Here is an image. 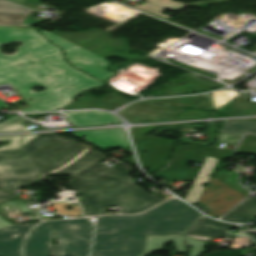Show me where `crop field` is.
Instances as JSON below:
<instances>
[{"label":"crop field","mask_w":256,"mask_h":256,"mask_svg":"<svg viewBox=\"0 0 256 256\" xmlns=\"http://www.w3.org/2000/svg\"><path fill=\"white\" fill-rule=\"evenodd\" d=\"M7 119V121L0 124V131H18L27 129L25 126L20 124L22 121L26 120L25 118L15 115Z\"/></svg>","instance_id":"a9b5d70f"},{"label":"crop field","mask_w":256,"mask_h":256,"mask_svg":"<svg viewBox=\"0 0 256 256\" xmlns=\"http://www.w3.org/2000/svg\"><path fill=\"white\" fill-rule=\"evenodd\" d=\"M124 162L130 163V164H133V165L136 164L135 160H134V156H131V157L125 159Z\"/></svg>","instance_id":"028f5c9d"},{"label":"crop field","mask_w":256,"mask_h":256,"mask_svg":"<svg viewBox=\"0 0 256 256\" xmlns=\"http://www.w3.org/2000/svg\"><path fill=\"white\" fill-rule=\"evenodd\" d=\"M105 59L117 56L127 61L148 58L137 53L128 54V41L120 37L118 39L111 38L110 34L92 28L85 32L63 33L53 32ZM131 50V49H130Z\"/></svg>","instance_id":"412701ff"},{"label":"crop field","mask_w":256,"mask_h":256,"mask_svg":"<svg viewBox=\"0 0 256 256\" xmlns=\"http://www.w3.org/2000/svg\"><path fill=\"white\" fill-rule=\"evenodd\" d=\"M253 135V134H252Z\"/></svg>","instance_id":"b80d0937"},{"label":"crop field","mask_w":256,"mask_h":256,"mask_svg":"<svg viewBox=\"0 0 256 256\" xmlns=\"http://www.w3.org/2000/svg\"><path fill=\"white\" fill-rule=\"evenodd\" d=\"M252 216H256V197H247L220 219L232 222H246Z\"/></svg>","instance_id":"bc2a9ffb"},{"label":"crop field","mask_w":256,"mask_h":256,"mask_svg":"<svg viewBox=\"0 0 256 256\" xmlns=\"http://www.w3.org/2000/svg\"><path fill=\"white\" fill-rule=\"evenodd\" d=\"M21 136H13V137H0V142H5L8 139H11L10 145H3L0 147L1 150H11L19 148V140Z\"/></svg>","instance_id":"d3111659"},{"label":"crop field","mask_w":256,"mask_h":256,"mask_svg":"<svg viewBox=\"0 0 256 256\" xmlns=\"http://www.w3.org/2000/svg\"><path fill=\"white\" fill-rule=\"evenodd\" d=\"M219 131L237 136L243 135L244 132L256 134V121L236 120L223 122Z\"/></svg>","instance_id":"92a150f3"},{"label":"crop field","mask_w":256,"mask_h":256,"mask_svg":"<svg viewBox=\"0 0 256 256\" xmlns=\"http://www.w3.org/2000/svg\"><path fill=\"white\" fill-rule=\"evenodd\" d=\"M249 246L247 237L233 239L232 249Z\"/></svg>","instance_id":"1d83c4d3"},{"label":"crop field","mask_w":256,"mask_h":256,"mask_svg":"<svg viewBox=\"0 0 256 256\" xmlns=\"http://www.w3.org/2000/svg\"><path fill=\"white\" fill-rule=\"evenodd\" d=\"M251 119H256V118H251Z\"/></svg>","instance_id":"0bd39190"},{"label":"crop field","mask_w":256,"mask_h":256,"mask_svg":"<svg viewBox=\"0 0 256 256\" xmlns=\"http://www.w3.org/2000/svg\"><path fill=\"white\" fill-rule=\"evenodd\" d=\"M240 138L241 137L232 136V135L219 132L213 145L219 146L221 142L238 144Z\"/></svg>","instance_id":"ae1a2a85"},{"label":"crop field","mask_w":256,"mask_h":256,"mask_svg":"<svg viewBox=\"0 0 256 256\" xmlns=\"http://www.w3.org/2000/svg\"><path fill=\"white\" fill-rule=\"evenodd\" d=\"M207 116H209V113L206 111L189 109L186 112L179 115L178 117L174 118L173 120L201 118V117H207Z\"/></svg>","instance_id":"730fd06b"},{"label":"crop field","mask_w":256,"mask_h":256,"mask_svg":"<svg viewBox=\"0 0 256 256\" xmlns=\"http://www.w3.org/2000/svg\"><path fill=\"white\" fill-rule=\"evenodd\" d=\"M56 237L61 241L54 246L57 256H88L93 225L88 218L69 221H51Z\"/></svg>","instance_id":"f4fd0767"},{"label":"crop field","mask_w":256,"mask_h":256,"mask_svg":"<svg viewBox=\"0 0 256 256\" xmlns=\"http://www.w3.org/2000/svg\"><path fill=\"white\" fill-rule=\"evenodd\" d=\"M154 126H149L147 128H135L131 129V136L133 138V141L138 140L139 138L143 137V135L150 130L154 129Z\"/></svg>","instance_id":"bd1437ed"},{"label":"crop field","mask_w":256,"mask_h":256,"mask_svg":"<svg viewBox=\"0 0 256 256\" xmlns=\"http://www.w3.org/2000/svg\"><path fill=\"white\" fill-rule=\"evenodd\" d=\"M51 233L50 226H37L26 240L25 256H51L48 249Z\"/></svg>","instance_id":"5142ce71"},{"label":"crop field","mask_w":256,"mask_h":256,"mask_svg":"<svg viewBox=\"0 0 256 256\" xmlns=\"http://www.w3.org/2000/svg\"><path fill=\"white\" fill-rule=\"evenodd\" d=\"M235 153L256 154V136L244 135Z\"/></svg>","instance_id":"4177f3b9"},{"label":"crop field","mask_w":256,"mask_h":256,"mask_svg":"<svg viewBox=\"0 0 256 256\" xmlns=\"http://www.w3.org/2000/svg\"><path fill=\"white\" fill-rule=\"evenodd\" d=\"M236 228L239 227L202 216L191 226V228L185 234L211 237H230L223 230Z\"/></svg>","instance_id":"733c2abd"},{"label":"crop field","mask_w":256,"mask_h":256,"mask_svg":"<svg viewBox=\"0 0 256 256\" xmlns=\"http://www.w3.org/2000/svg\"><path fill=\"white\" fill-rule=\"evenodd\" d=\"M37 29L41 31L53 43L61 46L66 55L67 60L71 62L76 68L102 81L114 74L103 69L105 65L109 64L107 60L73 43H70L50 32L44 31L39 28Z\"/></svg>","instance_id":"e52e79f7"},{"label":"crop field","mask_w":256,"mask_h":256,"mask_svg":"<svg viewBox=\"0 0 256 256\" xmlns=\"http://www.w3.org/2000/svg\"><path fill=\"white\" fill-rule=\"evenodd\" d=\"M217 186H220L218 189ZM212 189V190H210ZM226 195V197H224ZM244 195L227 185L223 184L215 177L209 179L208 185L204 188L198 203L208 208V215L218 217L240 200ZM229 197L230 199H226ZM210 200V202H207Z\"/></svg>","instance_id":"d8731c3e"},{"label":"crop field","mask_w":256,"mask_h":256,"mask_svg":"<svg viewBox=\"0 0 256 256\" xmlns=\"http://www.w3.org/2000/svg\"><path fill=\"white\" fill-rule=\"evenodd\" d=\"M185 110V108L148 104L140 101L120 110L119 113L131 122H140L143 120L151 121L156 119L170 120ZM132 116L141 118L133 119Z\"/></svg>","instance_id":"28ad6ade"},{"label":"crop field","mask_w":256,"mask_h":256,"mask_svg":"<svg viewBox=\"0 0 256 256\" xmlns=\"http://www.w3.org/2000/svg\"><path fill=\"white\" fill-rule=\"evenodd\" d=\"M217 162V159L206 157L195 181L193 182L186 201L194 204L197 202L202 190H203V185L207 182V179L214 168L215 164Z\"/></svg>","instance_id":"4a817a6b"},{"label":"crop field","mask_w":256,"mask_h":256,"mask_svg":"<svg viewBox=\"0 0 256 256\" xmlns=\"http://www.w3.org/2000/svg\"><path fill=\"white\" fill-rule=\"evenodd\" d=\"M11 42H23V45L16 54L0 53V83H11L31 106L20 111L54 110L67 104L81 90L104 84L68 65L59 48L31 27L0 26V47ZM37 85L45 90L31 92ZM0 108L11 110L1 100Z\"/></svg>","instance_id":"ac0d7876"},{"label":"crop field","mask_w":256,"mask_h":256,"mask_svg":"<svg viewBox=\"0 0 256 256\" xmlns=\"http://www.w3.org/2000/svg\"><path fill=\"white\" fill-rule=\"evenodd\" d=\"M231 154H232V152L219 150L215 147H211V150H210L208 156L215 157V158H218L220 160H226V159L231 157Z\"/></svg>","instance_id":"750c4746"},{"label":"crop field","mask_w":256,"mask_h":256,"mask_svg":"<svg viewBox=\"0 0 256 256\" xmlns=\"http://www.w3.org/2000/svg\"><path fill=\"white\" fill-rule=\"evenodd\" d=\"M36 135H31V136H23L22 139V145L26 144L28 141H30L32 138H34Z\"/></svg>","instance_id":"5866460e"},{"label":"crop field","mask_w":256,"mask_h":256,"mask_svg":"<svg viewBox=\"0 0 256 256\" xmlns=\"http://www.w3.org/2000/svg\"><path fill=\"white\" fill-rule=\"evenodd\" d=\"M53 205L56 212H59L68 216H70V214L81 213V210L78 205H68V202H58V203H54ZM66 206H73L74 209L72 211H68L65 208Z\"/></svg>","instance_id":"eef30255"},{"label":"crop field","mask_w":256,"mask_h":256,"mask_svg":"<svg viewBox=\"0 0 256 256\" xmlns=\"http://www.w3.org/2000/svg\"><path fill=\"white\" fill-rule=\"evenodd\" d=\"M209 95L210 94L202 95V96L172 97V98H164V99H148V100H144V101L190 107Z\"/></svg>","instance_id":"dafd665d"},{"label":"crop field","mask_w":256,"mask_h":256,"mask_svg":"<svg viewBox=\"0 0 256 256\" xmlns=\"http://www.w3.org/2000/svg\"><path fill=\"white\" fill-rule=\"evenodd\" d=\"M44 114H47V113H35V114H24V115L35 118V117H38V116H41V115H44Z\"/></svg>","instance_id":"e1f06a70"},{"label":"crop field","mask_w":256,"mask_h":256,"mask_svg":"<svg viewBox=\"0 0 256 256\" xmlns=\"http://www.w3.org/2000/svg\"><path fill=\"white\" fill-rule=\"evenodd\" d=\"M76 136H86L83 140L96 147L123 148L129 145L122 129H103L95 131H70Z\"/></svg>","instance_id":"d1516ede"},{"label":"crop field","mask_w":256,"mask_h":256,"mask_svg":"<svg viewBox=\"0 0 256 256\" xmlns=\"http://www.w3.org/2000/svg\"><path fill=\"white\" fill-rule=\"evenodd\" d=\"M198 211L173 198L137 216H99L91 256H137L146 234H182Z\"/></svg>","instance_id":"34b2d1b8"},{"label":"crop field","mask_w":256,"mask_h":256,"mask_svg":"<svg viewBox=\"0 0 256 256\" xmlns=\"http://www.w3.org/2000/svg\"><path fill=\"white\" fill-rule=\"evenodd\" d=\"M65 113L67 120H69L75 126H88L95 124L121 122V120L114 114L102 111H73Z\"/></svg>","instance_id":"d9b57169"},{"label":"crop field","mask_w":256,"mask_h":256,"mask_svg":"<svg viewBox=\"0 0 256 256\" xmlns=\"http://www.w3.org/2000/svg\"><path fill=\"white\" fill-rule=\"evenodd\" d=\"M13 192H8V191H0V201H8L12 199H16L17 197L11 196Z\"/></svg>","instance_id":"d32e631a"},{"label":"crop field","mask_w":256,"mask_h":256,"mask_svg":"<svg viewBox=\"0 0 256 256\" xmlns=\"http://www.w3.org/2000/svg\"><path fill=\"white\" fill-rule=\"evenodd\" d=\"M198 77V75L189 72L173 84L163 89L162 91L151 95L192 93L222 86L206 79H199Z\"/></svg>","instance_id":"cbeb9de0"},{"label":"crop field","mask_w":256,"mask_h":256,"mask_svg":"<svg viewBox=\"0 0 256 256\" xmlns=\"http://www.w3.org/2000/svg\"><path fill=\"white\" fill-rule=\"evenodd\" d=\"M34 225H11L0 228V256H21L22 241Z\"/></svg>","instance_id":"22f410ed"},{"label":"crop field","mask_w":256,"mask_h":256,"mask_svg":"<svg viewBox=\"0 0 256 256\" xmlns=\"http://www.w3.org/2000/svg\"><path fill=\"white\" fill-rule=\"evenodd\" d=\"M182 143L185 146H181ZM179 141L170 164L161 171L153 174L163 176L166 181L184 180L194 181L199 169L185 168L188 161L202 162L209 147L207 145Z\"/></svg>","instance_id":"dd49c442"},{"label":"crop field","mask_w":256,"mask_h":256,"mask_svg":"<svg viewBox=\"0 0 256 256\" xmlns=\"http://www.w3.org/2000/svg\"><path fill=\"white\" fill-rule=\"evenodd\" d=\"M236 94V91L225 89L220 92H216L207 97L203 101L196 104L195 108L219 110L231 113L239 114H255L256 105L249 104L246 101L247 97L243 93H238L236 101L229 100ZM243 102V104H241ZM241 104V105H238Z\"/></svg>","instance_id":"3316defc"},{"label":"crop field","mask_w":256,"mask_h":256,"mask_svg":"<svg viewBox=\"0 0 256 256\" xmlns=\"http://www.w3.org/2000/svg\"><path fill=\"white\" fill-rule=\"evenodd\" d=\"M95 149L58 136L38 135L18 150L0 152V189L39 182L43 173L72 174V187L86 196L85 215L103 214V206H121V214L143 212L172 197L151 195L130 183L131 167L109 168Z\"/></svg>","instance_id":"8a807250"},{"label":"crop field","mask_w":256,"mask_h":256,"mask_svg":"<svg viewBox=\"0 0 256 256\" xmlns=\"http://www.w3.org/2000/svg\"><path fill=\"white\" fill-rule=\"evenodd\" d=\"M9 1L24 5V6L28 5L27 7H30V8L35 6L37 3L41 2L39 0H9Z\"/></svg>","instance_id":"120bbe31"},{"label":"crop field","mask_w":256,"mask_h":256,"mask_svg":"<svg viewBox=\"0 0 256 256\" xmlns=\"http://www.w3.org/2000/svg\"><path fill=\"white\" fill-rule=\"evenodd\" d=\"M175 141L144 136L136 141L135 147L142 167L156 171L164 166ZM143 149L146 152L140 153ZM141 151V150H140Z\"/></svg>","instance_id":"5a996713"},{"label":"crop field","mask_w":256,"mask_h":256,"mask_svg":"<svg viewBox=\"0 0 256 256\" xmlns=\"http://www.w3.org/2000/svg\"><path fill=\"white\" fill-rule=\"evenodd\" d=\"M75 108H101V109H106V110H112L114 108L101 103L91 97L87 98L84 97L80 101L75 102L74 104L67 106L64 109H75Z\"/></svg>","instance_id":"00972430"},{"label":"crop field","mask_w":256,"mask_h":256,"mask_svg":"<svg viewBox=\"0 0 256 256\" xmlns=\"http://www.w3.org/2000/svg\"><path fill=\"white\" fill-rule=\"evenodd\" d=\"M20 8L21 6L0 0V24L19 25L26 15L32 12V10L24 7H22L23 9ZM18 14L24 15L22 19L18 17Z\"/></svg>","instance_id":"214f88e0"}]
</instances>
